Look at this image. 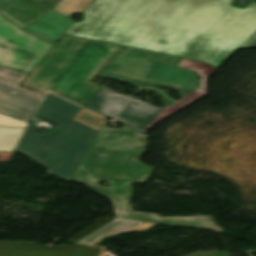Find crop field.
<instances>
[{
	"mask_svg": "<svg viewBox=\"0 0 256 256\" xmlns=\"http://www.w3.org/2000/svg\"><path fill=\"white\" fill-rule=\"evenodd\" d=\"M130 99L131 97L117 94L102 87L89 101L86 107L116 118Z\"/></svg>",
	"mask_w": 256,
	"mask_h": 256,
	"instance_id": "12",
	"label": "crop field"
},
{
	"mask_svg": "<svg viewBox=\"0 0 256 256\" xmlns=\"http://www.w3.org/2000/svg\"><path fill=\"white\" fill-rule=\"evenodd\" d=\"M94 1L67 35L208 62L219 68L256 32V3Z\"/></svg>",
	"mask_w": 256,
	"mask_h": 256,
	"instance_id": "1",
	"label": "crop field"
},
{
	"mask_svg": "<svg viewBox=\"0 0 256 256\" xmlns=\"http://www.w3.org/2000/svg\"><path fill=\"white\" fill-rule=\"evenodd\" d=\"M38 103L0 88V126L25 128Z\"/></svg>",
	"mask_w": 256,
	"mask_h": 256,
	"instance_id": "9",
	"label": "crop field"
},
{
	"mask_svg": "<svg viewBox=\"0 0 256 256\" xmlns=\"http://www.w3.org/2000/svg\"><path fill=\"white\" fill-rule=\"evenodd\" d=\"M149 138L127 126L119 129L103 126L71 180L86 184L107 196L113 203L116 217L223 233L210 215L162 218L131 211L128 202L131 195L130 183L145 182L152 169L139 162ZM99 180L108 181L110 187L98 185Z\"/></svg>",
	"mask_w": 256,
	"mask_h": 256,
	"instance_id": "2",
	"label": "crop field"
},
{
	"mask_svg": "<svg viewBox=\"0 0 256 256\" xmlns=\"http://www.w3.org/2000/svg\"><path fill=\"white\" fill-rule=\"evenodd\" d=\"M75 120L99 131L105 121V118L82 109L76 116Z\"/></svg>",
	"mask_w": 256,
	"mask_h": 256,
	"instance_id": "15",
	"label": "crop field"
},
{
	"mask_svg": "<svg viewBox=\"0 0 256 256\" xmlns=\"http://www.w3.org/2000/svg\"><path fill=\"white\" fill-rule=\"evenodd\" d=\"M104 249L76 243L47 247L28 242H0V256H101Z\"/></svg>",
	"mask_w": 256,
	"mask_h": 256,
	"instance_id": "8",
	"label": "crop field"
},
{
	"mask_svg": "<svg viewBox=\"0 0 256 256\" xmlns=\"http://www.w3.org/2000/svg\"><path fill=\"white\" fill-rule=\"evenodd\" d=\"M93 0H0V14L25 28L53 9L67 17L82 13Z\"/></svg>",
	"mask_w": 256,
	"mask_h": 256,
	"instance_id": "7",
	"label": "crop field"
},
{
	"mask_svg": "<svg viewBox=\"0 0 256 256\" xmlns=\"http://www.w3.org/2000/svg\"><path fill=\"white\" fill-rule=\"evenodd\" d=\"M27 74L20 73L0 66V86L12 89L14 91L41 99L43 94L31 89L19 86L27 77Z\"/></svg>",
	"mask_w": 256,
	"mask_h": 256,
	"instance_id": "13",
	"label": "crop field"
},
{
	"mask_svg": "<svg viewBox=\"0 0 256 256\" xmlns=\"http://www.w3.org/2000/svg\"><path fill=\"white\" fill-rule=\"evenodd\" d=\"M120 48L65 36L20 85L42 93L51 91L84 106L99 88L91 81Z\"/></svg>",
	"mask_w": 256,
	"mask_h": 256,
	"instance_id": "4",
	"label": "crop field"
},
{
	"mask_svg": "<svg viewBox=\"0 0 256 256\" xmlns=\"http://www.w3.org/2000/svg\"><path fill=\"white\" fill-rule=\"evenodd\" d=\"M25 129L0 127V151H13Z\"/></svg>",
	"mask_w": 256,
	"mask_h": 256,
	"instance_id": "14",
	"label": "crop field"
},
{
	"mask_svg": "<svg viewBox=\"0 0 256 256\" xmlns=\"http://www.w3.org/2000/svg\"><path fill=\"white\" fill-rule=\"evenodd\" d=\"M216 70L206 63L123 47L100 75L161 94L166 108L159 109L133 99L116 119L144 132L162 118L206 96V79ZM198 77L203 78L199 80ZM151 83L180 89L181 100L171 99Z\"/></svg>",
	"mask_w": 256,
	"mask_h": 256,
	"instance_id": "3",
	"label": "crop field"
},
{
	"mask_svg": "<svg viewBox=\"0 0 256 256\" xmlns=\"http://www.w3.org/2000/svg\"><path fill=\"white\" fill-rule=\"evenodd\" d=\"M3 18L0 16V65L29 74L54 45L20 31Z\"/></svg>",
	"mask_w": 256,
	"mask_h": 256,
	"instance_id": "6",
	"label": "crop field"
},
{
	"mask_svg": "<svg viewBox=\"0 0 256 256\" xmlns=\"http://www.w3.org/2000/svg\"><path fill=\"white\" fill-rule=\"evenodd\" d=\"M81 107L46 93L35 116L58 128L37 132L33 119L14 151L70 180L98 131L72 120Z\"/></svg>",
	"mask_w": 256,
	"mask_h": 256,
	"instance_id": "5",
	"label": "crop field"
},
{
	"mask_svg": "<svg viewBox=\"0 0 256 256\" xmlns=\"http://www.w3.org/2000/svg\"><path fill=\"white\" fill-rule=\"evenodd\" d=\"M256 48V33L240 48Z\"/></svg>",
	"mask_w": 256,
	"mask_h": 256,
	"instance_id": "16",
	"label": "crop field"
},
{
	"mask_svg": "<svg viewBox=\"0 0 256 256\" xmlns=\"http://www.w3.org/2000/svg\"><path fill=\"white\" fill-rule=\"evenodd\" d=\"M74 22L51 10L25 28V30L55 44Z\"/></svg>",
	"mask_w": 256,
	"mask_h": 256,
	"instance_id": "10",
	"label": "crop field"
},
{
	"mask_svg": "<svg viewBox=\"0 0 256 256\" xmlns=\"http://www.w3.org/2000/svg\"><path fill=\"white\" fill-rule=\"evenodd\" d=\"M153 225V223L117 218L99 230L88 235L86 238L81 240L80 243L94 245L109 235L122 234L132 231H144Z\"/></svg>",
	"mask_w": 256,
	"mask_h": 256,
	"instance_id": "11",
	"label": "crop field"
}]
</instances>
